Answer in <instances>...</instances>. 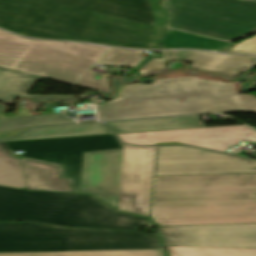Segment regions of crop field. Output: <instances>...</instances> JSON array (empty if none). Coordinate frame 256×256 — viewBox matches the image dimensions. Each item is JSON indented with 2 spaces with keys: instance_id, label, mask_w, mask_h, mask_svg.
I'll list each match as a JSON object with an SVG mask.
<instances>
[{
  "instance_id": "1",
  "label": "crop field",
  "mask_w": 256,
  "mask_h": 256,
  "mask_svg": "<svg viewBox=\"0 0 256 256\" xmlns=\"http://www.w3.org/2000/svg\"><path fill=\"white\" fill-rule=\"evenodd\" d=\"M158 226L256 223V173L154 177Z\"/></svg>"
},
{
  "instance_id": "2",
  "label": "crop field",
  "mask_w": 256,
  "mask_h": 256,
  "mask_svg": "<svg viewBox=\"0 0 256 256\" xmlns=\"http://www.w3.org/2000/svg\"><path fill=\"white\" fill-rule=\"evenodd\" d=\"M112 100L96 105L100 121L141 119L240 110L231 83L196 77L161 79L142 85H124Z\"/></svg>"
},
{
  "instance_id": "3",
  "label": "crop field",
  "mask_w": 256,
  "mask_h": 256,
  "mask_svg": "<svg viewBox=\"0 0 256 256\" xmlns=\"http://www.w3.org/2000/svg\"><path fill=\"white\" fill-rule=\"evenodd\" d=\"M92 10L165 26L156 0H0V27L35 38L82 41Z\"/></svg>"
},
{
  "instance_id": "4",
  "label": "crop field",
  "mask_w": 256,
  "mask_h": 256,
  "mask_svg": "<svg viewBox=\"0 0 256 256\" xmlns=\"http://www.w3.org/2000/svg\"><path fill=\"white\" fill-rule=\"evenodd\" d=\"M8 220L130 231L153 226L149 219L117 212L89 195L0 187V221Z\"/></svg>"
},
{
  "instance_id": "5",
  "label": "crop field",
  "mask_w": 256,
  "mask_h": 256,
  "mask_svg": "<svg viewBox=\"0 0 256 256\" xmlns=\"http://www.w3.org/2000/svg\"><path fill=\"white\" fill-rule=\"evenodd\" d=\"M163 248L157 235L64 228L40 223H0V253Z\"/></svg>"
},
{
  "instance_id": "6",
  "label": "crop field",
  "mask_w": 256,
  "mask_h": 256,
  "mask_svg": "<svg viewBox=\"0 0 256 256\" xmlns=\"http://www.w3.org/2000/svg\"><path fill=\"white\" fill-rule=\"evenodd\" d=\"M108 47L24 39L0 30V66L78 85Z\"/></svg>"
},
{
  "instance_id": "7",
  "label": "crop field",
  "mask_w": 256,
  "mask_h": 256,
  "mask_svg": "<svg viewBox=\"0 0 256 256\" xmlns=\"http://www.w3.org/2000/svg\"><path fill=\"white\" fill-rule=\"evenodd\" d=\"M169 27L232 41L256 28V0H164Z\"/></svg>"
},
{
  "instance_id": "8",
  "label": "crop field",
  "mask_w": 256,
  "mask_h": 256,
  "mask_svg": "<svg viewBox=\"0 0 256 256\" xmlns=\"http://www.w3.org/2000/svg\"><path fill=\"white\" fill-rule=\"evenodd\" d=\"M11 151L23 150L29 160L59 166L60 176L68 178L79 192L83 152L121 148L115 135H98L5 142Z\"/></svg>"
},
{
  "instance_id": "9",
  "label": "crop field",
  "mask_w": 256,
  "mask_h": 256,
  "mask_svg": "<svg viewBox=\"0 0 256 256\" xmlns=\"http://www.w3.org/2000/svg\"><path fill=\"white\" fill-rule=\"evenodd\" d=\"M254 172V160L187 147H156L153 176Z\"/></svg>"
},
{
  "instance_id": "10",
  "label": "crop field",
  "mask_w": 256,
  "mask_h": 256,
  "mask_svg": "<svg viewBox=\"0 0 256 256\" xmlns=\"http://www.w3.org/2000/svg\"><path fill=\"white\" fill-rule=\"evenodd\" d=\"M123 142L135 145H156L180 142L225 152L241 141L256 144V132L244 125L118 134Z\"/></svg>"
},
{
  "instance_id": "11",
  "label": "crop field",
  "mask_w": 256,
  "mask_h": 256,
  "mask_svg": "<svg viewBox=\"0 0 256 256\" xmlns=\"http://www.w3.org/2000/svg\"><path fill=\"white\" fill-rule=\"evenodd\" d=\"M154 151L124 145L118 209L148 217Z\"/></svg>"
},
{
  "instance_id": "12",
  "label": "crop field",
  "mask_w": 256,
  "mask_h": 256,
  "mask_svg": "<svg viewBox=\"0 0 256 256\" xmlns=\"http://www.w3.org/2000/svg\"><path fill=\"white\" fill-rule=\"evenodd\" d=\"M164 28L92 12L83 41L138 49H159Z\"/></svg>"
},
{
  "instance_id": "13",
  "label": "crop field",
  "mask_w": 256,
  "mask_h": 256,
  "mask_svg": "<svg viewBox=\"0 0 256 256\" xmlns=\"http://www.w3.org/2000/svg\"><path fill=\"white\" fill-rule=\"evenodd\" d=\"M159 228L165 245L256 248V224Z\"/></svg>"
},
{
  "instance_id": "14",
  "label": "crop field",
  "mask_w": 256,
  "mask_h": 256,
  "mask_svg": "<svg viewBox=\"0 0 256 256\" xmlns=\"http://www.w3.org/2000/svg\"><path fill=\"white\" fill-rule=\"evenodd\" d=\"M122 149L84 153L80 192L117 209Z\"/></svg>"
},
{
  "instance_id": "15",
  "label": "crop field",
  "mask_w": 256,
  "mask_h": 256,
  "mask_svg": "<svg viewBox=\"0 0 256 256\" xmlns=\"http://www.w3.org/2000/svg\"><path fill=\"white\" fill-rule=\"evenodd\" d=\"M40 77L0 67V101L13 104L16 97L25 96ZM32 99L29 107L38 110L45 100L56 102L75 101V96H26Z\"/></svg>"
},
{
  "instance_id": "16",
  "label": "crop field",
  "mask_w": 256,
  "mask_h": 256,
  "mask_svg": "<svg viewBox=\"0 0 256 256\" xmlns=\"http://www.w3.org/2000/svg\"><path fill=\"white\" fill-rule=\"evenodd\" d=\"M256 65V57L229 56L200 52L195 62L190 66L201 70L215 72L224 78H234L241 72L251 70ZM256 83V77L250 83L242 86L241 90H250Z\"/></svg>"
},
{
  "instance_id": "17",
  "label": "crop field",
  "mask_w": 256,
  "mask_h": 256,
  "mask_svg": "<svg viewBox=\"0 0 256 256\" xmlns=\"http://www.w3.org/2000/svg\"><path fill=\"white\" fill-rule=\"evenodd\" d=\"M26 102L27 100L19 101V111L15 116L11 117H7L1 114V110L4 108L3 105L0 104V132L32 126L74 123V120L66 119L62 114H54L53 107L57 106L51 103H47L45 105L44 113L41 116H33L25 108Z\"/></svg>"
},
{
  "instance_id": "18",
  "label": "crop field",
  "mask_w": 256,
  "mask_h": 256,
  "mask_svg": "<svg viewBox=\"0 0 256 256\" xmlns=\"http://www.w3.org/2000/svg\"><path fill=\"white\" fill-rule=\"evenodd\" d=\"M115 133L204 127L198 116L106 123Z\"/></svg>"
},
{
  "instance_id": "19",
  "label": "crop field",
  "mask_w": 256,
  "mask_h": 256,
  "mask_svg": "<svg viewBox=\"0 0 256 256\" xmlns=\"http://www.w3.org/2000/svg\"><path fill=\"white\" fill-rule=\"evenodd\" d=\"M20 162L28 190L70 192L66 181L57 179L54 167L22 160Z\"/></svg>"
},
{
  "instance_id": "20",
  "label": "crop field",
  "mask_w": 256,
  "mask_h": 256,
  "mask_svg": "<svg viewBox=\"0 0 256 256\" xmlns=\"http://www.w3.org/2000/svg\"><path fill=\"white\" fill-rule=\"evenodd\" d=\"M98 134H113V133L109 131L106 127H103L102 124L91 123V124L35 128L26 132L20 137L18 136L19 138L5 140V141L98 135Z\"/></svg>"
},
{
  "instance_id": "21",
  "label": "crop field",
  "mask_w": 256,
  "mask_h": 256,
  "mask_svg": "<svg viewBox=\"0 0 256 256\" xmlns=\"http://www.w3.org/2000/svg\"><path fill=\"white\" fill-rule=\"evenodd\" d=\"M230 42L167 28L163 49L192 48L215 51Z\"/></svg>"
},
{
  "instance_id": "22",
  "label": "crop field",
  "mask_w": 256,
  "mask_h": 256,
  "mask_svg": "<svg viewBox=\"0 0 256 256\" xmlns=\"http://www.w3.org/2000/svg\"><path fill=\"white\" fill-rule=\"evenodd\" d=\"M0 256H165L163 249L2 253Z\"/></svg>"
},
{
  "instance_id": "23",
  "label": "crop field",
  "mask_w": 256,
  "mask_h": 256,
  "mask_svg": "<svg viewBox=\"0 0 256 256\" xmlns=\"http://www.w3.org/2000/svg\"><path fill=\"white\" fill-rule=\"evenodd\" d=\"M169 256H256V249L166 246Z\"/></svg>"
},
{
  "instance_id": "24",
  "label": "crop field",
  "mask_w": 256,
  "mask_h": 256,
  "mask_svg": "<svg viewBox=\"0 0 256 256\" xmlns=\"http://www.w3.org/2000/svg\"><path fill=\"white\" fill-rule=\"evenodd\" d=\"M0 186L26 188L19 160L7 157L1 150Z\"/></svg>"
},
{
  "instance_id": "25",
  "label": "crop field",
  "mask_w": 256,
  "mask_h": 256,
  "mask_svg": "<svg viewBox=\"0 0 256 256\" xmlns=\"http://www.w3.org/2000/svg\"><path fill=\"white\" fill-rule=\"evenodd\" d=\"M162 54H163V58L161 59L154 58L149 63H147L144 67L138 70L140 75L164 72V64L168 59H181V60L194 62L199 52L198 51H166V52H162Z\"/></svg>"
},
{
  "instance_id": "26",
  "label": "crop field",
  "mask_w": 256,
  "mask_h": 256,
  "mask_svg": "<svg viewBox=\"0 0 256 256\" xmlns=\"http://www.w3.org/2000/svg\"><path fill=\"white\" fill-rule=\"evenodd\" d=\"M143 51L122 50L110 48L100 60V63L135 67L144 57Z\"/></svg>"
},
{
  "instance_id": "27",
  "label": "crop field",
  "mask_w": 256,
  "mask_h": 256,
  "mask_svg": "<svg viewBox=\"0 0 256 256\" xmlns=\"http://www.w3.org/2000/svg\"><path fill=\"white\" fill-rule=\"evenodd\" d=\"M93 78H94V75L86 72V74L84 75L79 85L89 87L98 91H102L108 94L110 93V88H109L106 77H101L99 81Z\"/></svg>"
},
{
  "instance_id": "28",
  "label": "crop field",
  "mask_w": 256,
  "mask_h": 256,
  "mask_svg": "<svg viewBox=\"0 0 256 256\" xmlns=\"http://www.w3.org/2000/svg\"><path fill=\"white\" fill-rule=\"evenodd\" d=\"M229 53L256 54V36L236 44Z\"/></svg>"
},
{
  "instance_id": "29",
  "label": "crop field",
  "mask_w": 256,
  "mask_h": 256,
  "mask_svg": "<svg viewBox=\"0 0 256 256\" xmlns=\"http://www.w3.org/2000/svg\"><path fill=\"white\" fill-rule=\"evenodd\" d=\"M241 111L256 112V97L249 94H236Z\"/></svg>"
},
{
  "instance_id": "30",
  "label": "crop field",
  "mask_w": 256,
  "mask_h": 256,
  "mask_svg": "<svg viewBox=\"0 0 256 256\" xmlns=\"http://www.w3.org/2000/svg\"><path fill=\"white\" fill-rule=\"evenodd\" d=\"M28 128L26 129H20V130H14V131H7V132H1L0 133V139H4V138H9V137H13V136H16L18 134H20L21 132L27 130Z\"/></svg>"
},
{
  "instance_id": "31",
  "label": "crop field",
  "mask_w": 256,
  "mask_h": 256,
  "mask_svg": "<svg viewBox=\"0 0 256 256\" xmlns=\"http://www.w3.org/2000/svg\"><path fill=\"white\" fill-rule=\"evenodd\" d=\"M149 58L148 57H145L134 69L138 68L139 66H141L146 60H148ZM133 69V70H134ZM132 70V71H133ZM137 76L136 73H132V75L130 77H123L122 80L123 82H129V81H132L135 79V77Z\"/></svg>"
},
{
  "instance_id": "32",
  "label": "crop field",
  "mask_w": 256,
  "mask_h": 256,
  "mask_svg": "<svg viewBox=\"0 0 256 256\" xmlns=\"http://www.w3.org/2000/svg\"><path fill=\"white\" fill-rule=\"evenodd\" d=\"M255 35H256V29L253 30L252 32H250V33H248V34H246V35H244V36H242V37H240V38H238V39L232 41V42L238 43V42H241V41H243V40H245V39H248V38H250V37H253V36H255Z\"/></svg>"
},
{
  "instance_id": "33",
  "label": "crop field",
  "mask_w": 256,
  "mask_h": 256,
  "mask_svg": "<svg viewBox=\"0 0 256 256\" xmlns=\"http://www.w3.org/2000/svg\"><path fill=\"white\" fill-rule=\"evenodd\" d=\"M182 63L176 62V63H172L169 66V69H178L181 68Z\"/></svg>"
},
{
  "instance_id": "34",
  "label": "crop field",
  "mask_w": 256,
  "mask_h": 256,
  "mask_svg": "<svg viewBox=\"0 0 256 256\" xmlns=\"http://www.w3.org/2000/svg\"><path fill=\"white\" fill-rule=\"evenodd\" d=\"M159 2H161V1H160V0H157V3H159ZM159 8H160V11H161L162 16H163V18H164V21H165V23H166V19H167L166 12H165L164 8H162V7H160V6H159Z\"/></svg>"
},
{
  "instance_id": "35",
  "label": "crop field",
  "mask_w": 256,
  "mask_h": 256,
  "mask_svg": "<svg viewBox=\"0 0 256 256\" xmlns=\"http://www.w3.org/2000/svg\"><path fill=\"white\" fill-rule=\"evenodd\" d=\"M250 74H246V75H243L241 76L239 79H236V80H233V81H240V82H243V81H246V80H249L247 78V76H249Z\"/></svg>"
},
{
  "instance_id": "36",
  "label": "crop field",
  "mask_w": 256,
  "mask_h": 256,
  "mask_svg": "<svg viewBox=\"0 0 256 256\" xmlns=\"http://www.w3.org/2000/svg\"><path fill=\"white\" fill-rule=\"evenodd\" d=\"M231 44L235 45L234 43H231ZM231 44H229V45H227V46H225V47H223V48H221V49H219V50H217V51H220V52H229L230 48H228V47H229Z\"/></svg>"
},
{
  "instance_id": "37",
  "label": "crop field",
  "mask_w": 256,
  "mask_h": 256,
  "mask_svg": "<svg viewBox=\"0 0 256 256\" xmlns=\"http://www.w3.org/2000/svg\"><path fill=\"white\" fill-rule=\"evenodd\" d=\"M170 144H179V143H170ZM161 145H164V144H161Z\"/></svg>"
}]
</instances>
